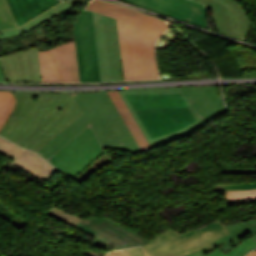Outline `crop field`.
I'll list each match as a JSON object with an SVG mask.
<instances>
[{"mask_svg":"<svg viewBox=\"0 0 256 256\" xmlns=\"http://www.w3.org/2000/svg\"><path fill=\"white\" fill-rule=\"evenodd\" d=\"M152 148L203 126L181 87L119 91Z\"/></svg>","mask_w":256,"mask_h":256,"instance_id":"8a807250","label":"crop field"},{"mask_svg":"<svg viewBox=\"0 0 256 256\" xmlns=\"http://www.w3.org/2000/svg\"><path fill=\"white\" fill-rule=\"evenodd\" d=\"M87 9L117 19L124 81L159 78L154 43L168 28L166 22L101 0H93Z\"/></svg>","mask_w":256,"mask_h":256,"instance_id":"ac0d7876","label":"crop field"},{"mask_svg":"<svg viewBox=\"0 0 256 256\" xmlns=\"http://www.w3.org/2000/svg\"><path fill=\"white\" fill-rule=\"evenodd\" d=\"M74 97L84 114L37 151L46 160L89 125L103 148L140 151L107 92L78 93Z\"/></svg>","mask_w":256,"mask_h":256,"instance_id":"34b2d1b8","label":"crop field"},{"mask_svg":"<svg viewBox=\"0 0 256 256\" xmlns=\"http://www.w3.org/2000/svg\"><path fill=\"white\" fill-rule=\"evenodd\" d=\"M74 95L14 92L17 104L0 135L16 144Z\"/></svg>","mask_w":256,"mask_h":256,"instance_id":"412701ff","label":"crop field"},{"mask_svg":"<svg viewBox=\"0 0 256 256\" xmlns=\"http://www.w3.org/2000/svg\"><path fill=\"white\" fill-rule=\"evenodd\" d=\"M230 233L219 220L198 230L181 235L168 230L150 243L142 246L144 256H183Z\"/></svg>","mask_w":256,"mask_h":256,"instance_id":"f4fd0767","label":"crop field"},{"mask_svg":"<svg viewBox=\"0 0 256 256\" xmlns=\"http://www.w3.org/2000/svg\"><path fill=\"white\" fill-rule=\"evenodd\" d=\"M93 17L101 82L123 81L116 21L94 12Z\"/></svg>","mask_w":256,"mask_h":256,"instance_id":"dd49c442","label":"crop field"},{"mask_svg":"<svg viewBox=\"0 0 256 256\" xmlns=\"http://www.w3.org/2000/svg\"><path fill=\"white\" fill-rule=\"evenodd\" d=\"M103 148L90 126L48 159L59 170L75 177L102 152Z\"/></svg>","mask_w":256,"mask_h":256,"instance_id":"e52e79f7","label":"crop field"},{"mask_svg":"<svg viewBox=\"0 0 256 256\" xmlns=\"http://www.w3.org/2000/svg\"><path fill=\"white\" fill-rule=\"evenodd\" d=\"M73 26L80 82H100L92 12L84 10Z\"/></svg>","mask_w":256,"mask_h":256,"instance_id":"d8731c3e","label":"crop field"},{"mask_svg":"<svg viewBox=\"0 0 256 256\" xmlns=\"http://www.w3.org/2000/svg\"><path fill=\"white\" fill-rule=\"evenodd\" d=\"M39 58L43 83L79 82L74 40L40 51Z\"/></svg>","mask_w":256,"mask_h":256,"instance_id":"5a996713","label":"crop field"},{"mask_svg":"<svg viewBox=\"0 0 256 256\" xmlns=\"http://www.w3.org/2000/svg\"><path fill=\"white\" fill-rule=\"evenodd\" d=\"M73 227L117 249L142 246L148 242L107 217L81 219Z\"/></svg>","mask_w":256,"mask_h":256,"instance_id":"3316defc","label":"crop field"},{"mask_svg":"<svg viewBox=\"0 0 256 256\" xmlns=\"http://www.w3.org/2000/svg\"><path fill=\"white\" fill-rule=\"evenodd\" d=\"M82 114L73 97L17 144L37 151Z\"/></svg>","mask_w":256,"mask_h":256,"instance_id":"28ad6ade","label":"crop field"},{"mask_svg":"<svg viewBox=\"0 0 256 256\" xmlns=\"http://www.w3.org/2000/svg\"><path fill=\"white\" fill-rule=\"evenodd\" d=\"M212 8L217 30L225 35L244 40L252 25L239 3L233 0H197Z\"/></svg>","mask_w":256,"mask_h":256,"instance_id":"d1516ede","label":"crop field"},{"mask_svg":"<svg viewBox=\"0 0 256 256\" xmlns=\"http://www.w3.org/2000/svg\"><path fill=\"white\" fill-rule=\"evenodd\" d=\"M133 5L208 29L204 5L191 0H124Z\"/></svg>","mask_w":256,"mask_h":256,"instance_id":"22f410ed","label":"crop field"},{"mask_svg":"<svg viewBox=\"0 0 256 256\" xmlns=\"http://www.w3.org/2000/svg\"><path fill=\"white\" fill-rule=\"evenodd\" d=\"M0 59L7 82H42L37 48Z\"/></svg>","mask_w":256,"mask_h":256,"instance_id":"cbeb9de0","label":"crop field"},{"mask_svg":"<svg viewBox=\"0 0 256 256\" xmlns=\"http://www.w3.org/2000/svg\"><path fill=\"white\" fill-rule=\"evenodd\" d=\"M0 152L13 160L9 164L29 173L43 181L57 169L39 157L35 152L21 149L15 144L0 137Z\"/></svg>","mask_w":256,"mask_h":256,"instance_id":"5142ce71","label":"crop field"},{"mask_svg":"<svg viewBox=\"0 0 256 256\" xmlns=\"http://www.w3.org/2000/svg\"><path fill=\"white\" fill-rule=\"evenodd\" d=\"M203 125L227 111L214 87H183Z\"/></svg>","mask_w":256,"mask_h":256,"instance_id":"d9b57169","label":"crop field"},{"mask_svg":"<svg viewBox=\"0 0 256 256\" xmlns=\"http://www.w3.org/2000/svg\"><path fill=\"white\" fill-rule=\"evenodd\" d=\"M13 15L18 23H23L38 16L40 13L48 10L58 4L59 0H7Z\"/></svg>","mask_w":256,"mask_h":256,"instance_id":"733c2abd","label":"crop field"},{"mask_svg":"<svg viewBox=\"0 0 256 256\" xmlns=\"http://www.w3.org/2000/svg\"><path fill=\"white\" fill-rule=\"evenodd\" d=\"M110 98L112 99L113 103L115 104L117 110L119 111L121 117L123 118L124 122L126 123L128 129L134 136L135 140L139 144L142 151L151 149L150 144L148 143L146 137L144 136L143 132L141 131L140 127L138 126L136 120L134 119L133 115L126 107L124 102L122 101L118 91L108 92Z\"/></svg>","mask_w":256,"mask_h":256,"instance_id":"4a817a6b","label":"crop field"},{"mask_svg":"<svg viewBox=\"0 0 256 256\" xmlns=\"http://www.w3.org/2000/svg\"><path fill=\"white\" fill-rule=\"evenodd\" d=\"M255 227L256 221L228 225L226 228L231 233L213 243L217 245L220 250L226 253L240 242H242L244 239L250 237L251 235L247 232L252 231V228Z\"/></svg>","mask_w":256,"mask_h":256,"instance_id":"bc2a9ffb","label":"crop field"},{"mask_svg":"<svg viewBox=\"0 0 256 256\" xmlns=\"http://www.w3.org/2000/svg\"><path fill=\"white\" fill-rule=\"evenodd\" d=\"M78 1H80V0L64 1L20 28L1 31L2 35H0V39L14 37L19 34L26 33L29 29L41 24L42 22L46 21L47 19L51 18L52 16L62 12L66 8L76 4Z\"/></svg>","mask_w":256,"mask_h":256,"instance_id":"214f88e0","label":"crop field"},{"mask_svg":"<svg viewBox=\"0 0 256 256\" xmlns=\"http://www.w3.org/2000/svg\"><path fill=\"white\" fill-rule=\"evenodd\" d=\"M252 237L244 240L242 243H240L238 246L230 250L228 253H223L219 249L207 254V256H243L247 252H249L251 249L256 247V228L254 231L249 232Z\"/></svg>","mask_w":256,"mask_h":256,"instance_id":"92a150f3","label":"crop field"},{"mask_svg":"<svg viewBox=\"0 0 256 256\" xmlns=\"http://www.w3.org/2000/svg\"><path fill=\"white\" fill-rule=\"evenodd\" d=\"M16 100L11 92H0V129L3 127L15 106Z\"/></svg>","mask_w":256,"mask_h":256,"instance_id":"dafd665d","label":"crop field"},{"mask_svg":"<svg viewBox=\"0 0 256 256\" xmlns=\"http://www.w3.org/2000/svg\"><path fill=\"white\" fill-rule=\"evenodd\" d=\"M17 26L6 0H0V30Z\"/></svg>","mask_w":256,"mask_h":256,"instance_id":"00972430","label":"crop field"},{"mask_svg":"<svg viewBox=\"0 0 256 256\" xmlns=\"http://www.w3.org/2000/svg\"><path fill=\"white\" fill-rule=\"evenodd\" d=\"M46 213L71 225V226L74 223H76L78 220L81 219V218H79L71 213H68L60 208H57L55 206L53 208L49 209L48 211H46Z\"/></svg>","mask_w":256,"mask_h":256,"instance_id":"a9b5d70f","label":"crop field"},{"mask_svg":"<svg viewBox=\"0 0 256 256\" xmlns=\"http://www.w3.org/2000/svg\"><path fill=\"white\" fill-rule=\"evenodd\" d=\"M256 199V189L242 191H226V202Z\"/></svg>","mask_w":256,"mask_h":256,"instance_id":"4177f3b9","label":"crop field"},{"mask_svg":"<svg viewBox=\"0 0 256 256\" xmlns=\"http://www.w3.org/2000/svg\"><path fill=\"white\" fill-rule=\"evenodd\" d=\"M256 188V183L215 185L213 190H241Z\"/></svg>","mask_w":256,"mask_h":256,"instance_id":"730fd06b","label":"crop field"},{"mask_svg":"<svg viewBox=\"0 0 256 256\" xmlns=\"http://www.w3.org/2000/svg\"><path fill=\"white\" fill-rule=\"evenodd\" d=\"M125 252L128 256H143L139 247L134 249H127Z\"/></svg>","mask_w":256,"mask_h":256,"instance_id":"eef30255","label":"crop field"},{"mask_svg":"<svg viewBox=\"0 0 256 256\" xmlns=\"http://www.w3.org/2000/svg\"><path fill=\"white\" fill-rule=\"evenodd\" d=\"M254 202H256V200L238 201V202H231L227 204L228 206H231V205L247 204V203H254Z\"/></svg>","mask_w":256,"mask_h":256,"instance_id":"ae1a2a85","label":"crop field"},{"mask_svg":"<svg viewBox=\"0 0 256 256\" xmlns=\"http://www.w3.org/2000/svg\"><path fill=\"white\" fill-rule=\"evenodd\" d=\"M217 249V247L214 244H210L207 247L203 248V251L207 254L213 250Z\"/></svg>","mask_w":256,"mask_h":256,"instance_id":"d3111659","label":"crop field"},{"mask_svg":"<svg viewBox=\"0 0 256 256\" xmlns=\"http://www.w3.org/2000/svg\"><path fill=\"white\" fill-rule=\"evenodd\" d=\"M206 254L202 251V249L198 250V251H195L191 254H188L186 256H205Z\"/></svg>","mask_w":256,"mask_h":256,"instance_id":"750c4746","label":"crop field"},{"mask_svg":"<svg viewBox=\"0 0 256 256\" xmlns=\"http://www.w3.org/2000/svg\"><path fill=\"white\" fill-rule=\"evenodd\" d=\"M110 253H111L113 256H127L123 250H122V251L110 252Z\"/></svg>","mask_w":256,"mask_h":256,"instance_id":"bd1437ed","label":"crop field"},{"mask_svg":"<svg viewBox=\"0 0 256 256\" xmlns=\"http://www.w3.org/2000/svg\"><path fill=\"white\" fill-rule=\"evenodd\" d=\"M0 82H6L5 77L3 76L1 62H0Z\"/></svg>","mask_w":256,"mask_h":256,"instance_id":"1d83c4d3","label":"crop field"},{"mask_svg":"<svg viewBox=\"0 0 256 256\" xmlns=\"http://www.w3.org/2000/svg\"><path fill=\"white\" fill-rule=\"evenodd\" d=\"M246 256H256V250L252 251L251 253H249L248 255Z\"/></svg>","mask_w":256,"mask_h":256,"instance_id":"120bbe31","label":"crop field"},{"mask_svg":"<svg viewBox=\"0 0 256 256\" xmlns=\"http://www.w3.org/2000/svg\"><path fill=\"white\" fill-rule=\"evenodd\" d=\"M107 256H112L110 253H108V255Z\"/></svg>","mask_w":256,"mask_h":256,"instance_id":"d32e631a","label":"crop field"},{"mask_svg":"<svg viewBox=\"0 0 256 256\" xmlns=\"http://www.w3.org/2000/svg\"><path fill=\"white\" fill-rule=\"evenodd\" d=\"M196 1V0H195Z\"/></svg>","mask_w":256,"mask_h":256,"instance_id":"5866460e","label":"crop field"}]
</instances>
